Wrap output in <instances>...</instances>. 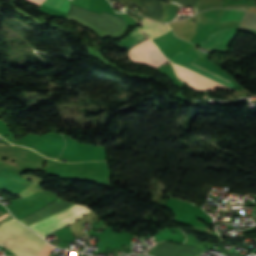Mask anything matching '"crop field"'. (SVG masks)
Listing matches in <instances>:
<instances>
[{
    "instance_id": "8a807250",
    "label": "crop field",
    "mask_w": 256,
    "mask_h": 256,
    "mask_svg": "<svg viewBox=\"0 0 256 256\" xmlns=\"http://www.w3.org/2000/svg\"><path fill=\"white\" fill-rule=\"evenodd\" d=\"M46 244L47 242L15 219L0 225V245L17 255H37Z\"/></svg>"
},
{
    "instance_id": "ac0d7876",
    "label": "crop field",
    "mask_w": 256,
    "mask_h": 256,
    "mask_svg": "<svg viewBox=\"0 0 256 256\" xmlns=\"http://www.w3.org/2000/svg\"><path fill=\"white\" fill-rule=\"evenodd\" d=\"M90 211L91 210L85 206L75 205L62 213L54 215L29 227L44 238L51 231L73 222Z\"/></svg>"
},
{
    "instance_id": "34b2d1b8",
    "label": "crop field",
    "mask_w": 256,
    "mask_h": 256,
    "mask_svg": "<svg viewBox=\"0 0 256 256\" xmlns=\"http://www.w3.org/2000/svg\"><path fill=\"white\" fill-rule=\"evenodd\" d=\"M127 56L134 62L158 67L167 61L151 40L147 39L130 49Z\"/></svg>"
},
{
    "instance_id": "412701ff",
    "label": "crop field",
    "mask_w": 256,
    "mask_h": 256,
    "mask_svg": "<svg viewBox=\"0 0 256 256\" xmlns=\"http://www.w3.org/2000/svg\"><path fill=\"white\" fill-rule=\"evenodd\" d=\"M73 205L74 204L57 199L56 201L44 206L43 208L37 210L36 212L32 213L31 215H29L19 221H21L22 223H24L25 225L28 226L35 222L41 221L47 217H50L54 214L62 212Z\"/></svg>"
},
{
    "instance_id": "f4fd0767",
    "label": "crop field",
    "mask_w": 256,
    "mask_h": 256,
    "mask_svg": "<svg viewBox=\"0 0 256 256\" xmlns=\"http://www.w3.org/2000/svg\"><path fill=\"white\" fill-rule=\"evenodd\" d=\"M173 64V63H172ZM192 64V63H191ZM194 65V64H193ZM196 66V65H195ZM198 67V66H197ZM173 68L175 70H178L182 73H185L189 76H192L194 78L200 79L202 81L208 82L210 84H213L217 87H224V88H228V89H233V85L232 84H228L190 64L185 65V66H179L176 64H173ZM200 68V67H199ZM202 69V68H201ZM204 70V69H203ZM206 71V70H205ZM208 72V71H207ZM210 73V72H209ZM212 74V73H211ZM214 75V74H213ZM216 76V75H215ZM218 77V76H217ZM220 78V77H219ZM222 79V78H221ZM224 80V79H223ZM226 81V80H225ZM228 82V81H227ZM230 83V82H229Z\"/></svg>"
},
{
    "instance_id": "dd49c442",
    "label": "crop field",
    "mask_w": 256,
    "mask_h": 256,
    "mask_svg": "<svg viewBox=\"0 0 256 256\" xmlns=\"http://www.w3.org/2000/svg\"><path fill=\"white\" fill-rule=\"evenodd\" d=\"M69 6V0H45L37 9L56 17L65 18Z\"/></svg>"
},
{
    "instance_id": "e52e79f7",
    "label": "crop field",
    "mask_w": 256,
    "mask_h": 256,
    "mask_svg": "<svg viewBox=\"0 0 256 256\" xmlns=\"http://www.w3.org/2000/svg\"><path fill=\"white\" fill-rule=\"evenodd\" d=\"M237 30H238V28L223 29V30L211 35L209 40H208V43L206 42L207 45H206V43H202V44H198V45L203 47V48L205 47V45H206V47H210V46H213L217 43H220V42H222L226 39L234 38L236 33H237ZM206 49L221 51V52H228L227 50L218 49V48H214V47H210V48H206Z\"/></svg>"
},
{
    "instance_id": "d8731c3e",
    "label": "crop field",
    "mask_w": 256,
    "mask_h": 256,
    "mask_svg": "<svg viewBox=\"0 0 256 256\" xmlns=\"http://www.w3.org/2000/svg\"><path fill=\"white\" fill-rule=\"evenodd\" d=\"M153 21V20H152ZM146 18L142 20L143 22V29L147 35L151 38L160 35L161 33L167 31L169 27L165 26L164 24H160L157 22H152Z\"/></svg>"
},
{
    "instance_id": "5a996713",
    "label": "crop field",
    "mask_w": 256,
    "mask_h": 256,
    "mask_svg": "<svg viewBox=\"0 0 256 256\" xmlns=\"http://www.w3.org/2000/svg\"><path fill=\"white\" fill-rule=\"evenodd\" d=\"M144 39H146V38L138 32V28H137L127 39L123 40L122 42H120L118 44H120L124 48L128 49V48L134 46L139 41H142Z\"/></svg>"
},
{
    "instance_id": "3316defc",
    "label": "crop field",
    "mask_w": 256,
    "mask_h": 256,
    "mask_svg": "<svg viewBox=\"0 0 256 256\" xmlns=\"http://www.w3.org/2000/svg\"><path fill=\"white\" fill-rule=\"evenodd\" d=\"M243 13L244 12H242V11L226 10V11H224L221 19L241 21ZM222 22H227V21L221 20L220 23H222Z\"/></svg>"
},
{
    "instance_id": "28ad6ade",
    "label": "crop field",
    "mask_w": 256,
    "mask_h": 256,
    "mask_svg": "<svg viewBox=\"0 0 256 256\" xmlns=\"http://www.w3.org/2000/svg\"><path fill=\"white\" fill-rule=\"evenodd\" d=\"M195 59L189 57V56H186L182 53H178L176 56H174L170 61L171 62H174V63H178V64H181V65H185L191 61H193Z\"/></svg>"
},
{
    "instance_id": "d1516ede",
    "label": "crop field",
    "mask_w": 256,
    "mask_h": 256,
    "mask_svg": "<svg viewBox=\"0 0 256 256\" xmlns=\"http://www.w3.org/2000/svg\"><path fill=\"white\" fill-rule=\"evenodd\" d=\"M52 246L46 245L45 247L42 248V250L39 252V256H48L51 253Z\"/></svg>"
},
{
    "instance_id": "22f410ed",
    "label": "crop field",
    "mask_w": 256,
    "mask_h": 256,
    "mask_svg": "<svg viewBox=\"0 0 256 256\" xmlns=\"http://www.w3.org/2000/svg\"><path fill=\"white\" fill-rule=\"evenodd\" d=\"M29 1H31L32 3H34L38 6L43 2V0H29Z\"/></svg>"
},
{
    "instance_id": "cbeb9de0",
    "label": "crop field",
    "mask_w": 256,
    "mask_h": 256,
    "mask_svg": "<svg viewBox=\"0 0 256 256\" xmlns=\"http://www.w3.org/2000/svg\"><path fill=\"white\" fill-rule=\"evenodd\" d=\"M8 218H11V216H9L7 213H5L4 215L0 216V220L8 219Z\"/></svg>"
},
{
    "instance_id": "5142ce71",
    "label": "crop field",
    "mask_w": 256,
    "mask_h": 256,
    "mask_svg": "<svg viewBox=\"0 0 256 256\" xmlns=\"http://www.w3.org/2000/svg\"><path fill=\"white\" fill-rule=\"evenodd\" d=\"M198 23H201V13L198 14Z\"/></svg>"
}]
</instances>
